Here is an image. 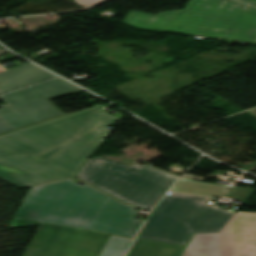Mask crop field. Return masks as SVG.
Segmentation results:
<instances>
[{
  "label": "crop field",
  "instance_id": "crop-field-1",
  "mask_svg": "<svg viewBox=\"0 0 256 256\" xmlns=\"http://www.w3.org/2000/svg\"><path fill=\"white\" fill-rule=\"evenodd\" d=\"M98 105L0 136V178L20 188L75 176L120 120Z\"/></svg>",
  "mask_w": 256,
  "mask_h": 256
},
{
  "label": "crop field",
  "instance_id": "crop-field-2",
  "mask_svg": "<svg viewBox=\"0 0 256 256\" xmlns=\"http://www.w3.org/2000/svg\"><path fill=\"white\" fill-rule=\"evenodd\" d=\"M86 185L69 179L31 188L10 228L53 223L135 237L143 223L136 210Z\"/></svg>",
  "mask_w": 256,
  "mask_h": 256
},
{
  "label": "crop field",
  "instance_id": "crop-field-3",
  "mask_svg": "<svg viewBox=\"0 0 256 256\" xmlns=\"http://www.w3.org/2000/svg\"><path fill=\"white\" fill-rule=\"evenodd\" d=\"M77 177L129 204L148 210L178 179L151 167H127L101 157L89 159Z\"/></svg>",
  "mask_w": 256,
  "mask_h": 256
},
{
  "label": "crop field",
  "instance_id": "crop-field-4",
  "mask_svg": "<svg viewBox=\"0 0 256 256\" xmlns=\"http://www.w3.org/2000/svg\"><path fill=\"white\" fill-rule=\"evenodd\" d=\"M244 7L229 0H190L182 10L157 15L130 11L123 23L145 30L224 37Z\"/></svg>",
  "mask_w": 256,
  "mask_h": 256
},
{
  "label": "crop field",
  "instance_id": "crop-field-5",
  "mask_svg": "<svg viewBox=\"0 0 256 256\" xmlns=\"http://www.w3.org/2000/svg\"><path fill=\"white\" fill-rule=\"evenodd\" d=\"M212 198L174 193L153 210L140 239L185 246L201 214H225L218 205L208 203Z\"/></svg>",
  "mask_w": 256,
  "mask_h": 256
},
{
  "label": "crop field",
  "instance_id": "crop-field-6",
  "mask_svg": "<svg viewBox=\"0 0 256 256\" xmlns=\"http://www.w3.org/2000/svg\"><path fill=\"white\" fill-rule=\"evenodd\" d=\"M83 91L61 79L0 96L8 107L0 109V135L65 115L49 99Z\"/></svg>",
  "mask_w": 256,
  "mask_h": 256
},
{
  "label": "crop field",
  "instance_id": "crop-field-7",
  "mask_svg": "<svg viewBox=\"0 0 256 256\" xmlns=\"http://www.w3.org/2000/svg\"><path fill=\"white\" fill-rule=\"evenodd\" d=\"M182 256H256V213L237 212L219 233L194 234Z\"/></svg>",
  "mask_w": 256,
  "mask_h": 256
},
{
  "label": "crop field",
  "instance_id": "crop-field-8",
  "mask_svg": "<svg viewBox=\"0 0 256 256\" xmlns=\"http://www.w3.org/2000/svg\"><path fill=\"white\" fill-rule=\"evenodd\" d=\"M110 235L41 225L24 256H99Z\"/></svg>",
  "mask_w": 256,
  "mask_h": 256
},
{
  "label": "crop field",
  "instance_id": "crop-field-9",
  "mask_svg": "<svg viewBox=\"0 0 256 256\" xmlns=\"http://www.w3.org/2000/svg\"><path fill=\"white\" fill-rule=\"evenodd\" d=\"M54 77L56 76L31 63L9 71L0 65V94Z\"/></svg>",
  "mask_w": 256,
  "mask_h": 256
},
{
  "label": "crop field",
  "instance_id": "crop-field-10",
  "mask_svg": "<svg viewBox=\"0 0 256 256\" xmlns=\"http://www.w3.org/2000/svg\"><path fill=\"white\" fill-rule=\"evenodd\" d=\"M225 38L246 40L250 41V44H256V9L248 6Z\"/></svg>",
  "mask_w": 256,
  "mask_h": 256
},
{
  "label": "crop field",
  "instance_id": "crop-field-11",
  "mask_svg": "<svg viewBox=\"0 0 256 256\" xmlns=\"http://www.w3.org/2000/svg\"><path fill=\"white\" fill-rule=\"evenodd\" d=\"M182 246L136 239L127 256H179Z\"/></svg>",
  "mask_w": 256,
  "mask_h": 256
},
{
  "label": "crop field",
  "instance_id": "crop-field-12",
  "mask_svg": "<svg viewBox=\"0 0 256 256\" xmlns=\"http://www.w3.org/2000/svg\"><path fill=\"white\" fill-rule=\"evenodd\" d=\"M229 188L230 187L228 186L194 181V180H189L187 178L182 177L171 189V191L204 195V196H214V197L221 198Z\"/></svg>",
  "mask_w": 256,
  "mask_h": 256
},
{
  "label": "crop field",
  "instance_id": "crop-field-13",
  "mask_svg": "<svg viewBox=\"0 0 256 256\" xmlns=\"http://www.w3.org/2000/svg\"><path fill=\"white\" fill-rule=\"evenodd\" d=\"M233 215H202L193 233L219 232Z\"/></svg>",
  "mask_w": 256,
  "mask_h": 256
},
{
  "label": "crop field",
  "instance_id": "crop-field-14",
  "mask_svg": "<svg viewBox=\"0 0 256 256\" xmlns=\"http://www.w3.org/2000/svg\"><path fill=\"white\" fill-rule=\"evenodd\" d=\"M133 239L112 235L100 256H124Z\"/></svg>",
  "mask_w": 256,
  "mask_h": 256
},
{
  "label": "crop field",
  "instance_id": "crop-field-15",
  "mask_svg": "<svg viewBox=\"0 0 256 256\" xmlns=\"http://www.w3.org/2000/svg\"><path fill=\"white\" fill-rule=\"evenodd\" d=\"M253 191L254 189L233 187L226 197L244 202Z\"/></svg>",
  "mask_w": 256,
  "mask_h": 256
},
{
  "label": "crop field",
  "instance_id": "crop-field-16",
  "mask_svg": "<svg viewBox=\"0 0 256 256\" xmlns=\"http://www.w3.org/2000/svg\"><path fill=\"white\" fill-rule=\"evenodd\" d=\"M80 4H82L84 7H88L91 5H94L102 0H77Z\"/></svg>",
  "mask_w": 256,
  "mask_h": 256
},
{
  "label": "crop field",
  "instance_id": "crop-field-17",
  "mask_svg": "<svg viewBox=\"0 0 256 256\" xmlns=\"http://www.w3.org/2000/svg\"><path fill=\"white\" fill-rule=\"evenodd\" d=\"M239 1H243V2L249 3L253 6H256V0H239Z\"/></svg>",
  "mask_w": 256,
  "mask_h": 256
},
{
  "label": "crop field",
  "instance_id": "crop-field-18",
  "mask_svg": "<svg viewBox=\"0 0 256 256\" xmlns=\"http://www.w3.org/2000/svg\"><path fill=\"white\" fill-rule=\"evenodd\" d=\"M7 51H4V50H0V55L6 53Z\"/></svg>",
  "mask_w": 256,
  "mask_h": 256
},
{
  "label": "crop field",
  "instance_id": "crop-field-19",
  "mask_svg": "<svg viewBox=\"0 0 256 256\" xmlns=\"http://www.w3.org/2000/svg\"><path fill=\"white\" fill-rule=\"evenodd\" d=\"M246 7H247V5H246ZM246 7H245V8H246ZM238 18H239V17H238ZM236 21H237V20H236ZM234 24H235V23H234ZM232 27H233V26H232ZM230 30H231V29H230ZM230 30H228L226 33L228 34Z\"/></svg>",
  "mask_w": 256,
  "mask_h": 256
}]
</instances>
